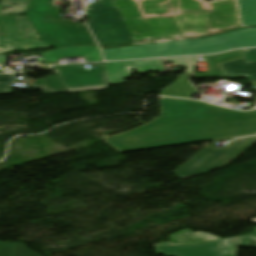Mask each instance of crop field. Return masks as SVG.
I'll return each mask as SVG.
<instances>
[{"label":"crop field","instance_id":"crop-field-17","mask_svg":"<svg viewBox=\"0 0 256 256\" xmlns=\"http://www.w3.org/2000/svg\"><path fill=\"white\" fill-rule=\"evenodd\" d=\"M197 58L198 57L169 58V59H165V63L173 62L176 65L187 67V70L185 72V73H187V72H191L192 71Z\"/></svg>","mask_w":256,"mask_h":256},{"label":"crop field","instance_id":"crop-field-4","mask_svg":"<svg viewBox=\"0 0 256 256\" xmlns=\"http://www.w3.org/2000/svg\"><path fill=\"white\" fill-rule=\"evenodd\" d=\"M30 0H0V47L2 53L12 50H31L40 48H50L49 45L35 39L25 37L37 38L31 24L27 17L14 16L9 14H21L24 13ZM6 4H19L22 6H10ZM5 7H15L14 9H7ZM1 8L6 10H1ZM20 29L21 33H19ZM27 29L29 36H27L25 30ZM17 34H22L18 36ZM2 37H4L8 51H6ZM8 37H10L14 49H12ZM15 39H17L21 49H19Z\"/></svg>","mask_w":256,"mask_h":256},{"label":"crop field","instance_id":"crop-field-13","mask_svg":"<svg viewBox=\"0 0 256 256\" xmlns=\"http://www.w3.org/2000/svg\"><path fill=\"white\" fill-rule=\"evenodd\" d=\"M221 66L227 78L247 77L250 82H256V62L247 63L244 58Z\"/></svg>","mask_w":256,"mask_h":256},{"label":"crop field","instance_id":"crop-field-20","mask_svg":"<svg viewBox=\"0 0 256 256\" xmlns=\"http://www.w3.org/2000/svg\"><path fill=\"white\" fill-rule=\"evenodd\" d=\"M16 244L0 242V256H12Z\"/></svg>","mask_w":256,"mask_h":256},{"label":"crop field","instance_id":"crop-field-14","mask_svg":"<svg viewBox=\"0 0 256 256\" xmlns=\"http://www.w3.org/2000/svg\"><path fill=\"white\" fill-rule=\"evenodd\" d=\"M190 73L179 75L178 79L170 86L161 91V95L173 97L190 98L194 93H199L189 82L188 76Z\"/></svg>","mask_w":256,"mask_h":256},{"label":"crop field","instance_id":"crop-field-25","mask_svg":"<svg viewBox=\"0 0 256 256\" xmlns=\"http://www.w3.org/2000/svg\"><path fill=\"white\" fill-rule=\"evenodd\" d=\"M192 77L199 78V75H192Z\"/></svg>","mask_w":256,"mask_h":256},{"label":"crop field","instance_id":"crop-field-16","mask_svg":"<svg viewBox=\"0 0 256 256\" xmlns=\"http://www.w3.org/2000/svg\"><path fill=\"white\" fill-rule=\"evenodd\" d=\"M34 89H41L45 95L67 92L58 75H49L41 81V84L32 85Z\"/></svg>","mask_w":256,"mask_h":256},{"label":"crop field","instance_id":"crop-field-6","mask_svg":"<svg viewBox=\"0 0 256 256\" xmlns=\"http://www.w3.org/2000/svg\"><path fill=\"white\" fill-rule=\"evenodd\" d=\"M256 142V137L236 140L228 149L205 147L195 157L177 169L180 178H188L221 168Z\"/></svg>","mask_w":256,"mask_h":256},{"label":"crop field","instance_id":"crop-field-10","mask_svg":"<svg viewBox=\"0 0 256 256\" xmlns=\"http://www.w3.org/2000/svg\"><path fill=\"white\" fill-rule=\"evenodd\" d=\"M85 56L88 62L102 61L97 47L76 46L63 49H55L43 54L42 62H54L60 57Z\"/></svg>","mask_w":256,"mask_h":256},{"label":"crop field","instance_id":"crop-field-3","mask_svg":"<svg viewBox=\"0 0 256 256\" xmlns=\"http://www.w3.org/2000/svg\"><path fill=\"white\" fill-rule=\"evenodd\" d=\"M51 2L31 0L25 12L40 40L54 48L95 45L84 23L68 24L66 19L60 20V9L51 5Z\"/></svg>","mask_w":256,"mask_h":256},{"label":"crop field","instance_id":"crop-field-2","mask_svg":"<svg viewBox=\"0 0 256 256\" xmlns=\"http://www.w3.org/2000/svg\"><path fill=\"white\" fill-rule=\"evenodd\" d=\"M256 46V27L241 28L196 40L102 50L105 60L209 54L238 47Z\"/></svg>","mask_w":256,"mask_h":256},{"label":"crop field","instance_id":"crop-field-9","mask_svg":"<svg viewBox=\"0 0 256 256\" xmlns=\"http://www.w3.org/2000/svg\"><path fill=\"white\" fill-rule=\"evenodd\" d=\"M114 63L118 76H107L110 84L124 82L125 78H128L130 75H132V69H136V71L141 74H144L147 71L165 70L161 59Z\"/></svg>","mask_w":256,"mask_h":256},{"label":"crop field","instance_id":"crop-field-23","mask_svg":"<svg viewBox=\"0 0 256 256\" xmlns=\"http://www.w3.org/2000/svg\"><path fill=\"white\" fill-rule=\"evenodd\" d=\"M136 45L134 43L132 44H128V45H118V46H101L102 49H106V48H115V47H124V46H133Z\"/></svg>","mask_w":256,"mask_h":256},{"label":"crop field","instance_id":"crop-field-8","mask_svg":"<svg viewBox=\"0 0 256 256\" xmlns=\"http://www.w3.org/2000/svg\"><path fill=\"white\" fill-rule=\"evenodd\" d=\"M95 69L84 70L81 65L53 66L50 71L58 73L68 92L102 89L109 87L105 69L101 63Z\"/></svg>","mask_w":256,"mask_h":256},{"label":"crop field","instance_id":"crop-field-19","mask_svg":"<svg viewBox=\"0 0 256 256\" xmlns=\"http://www.w3.org/2000/svg\"><path fill=\"white\" fill-rule=\"evenodd\" d=\"M13 256H41L32 250L26 248V245L17 244Z\"/></svg>","mask_w":256,"mask_h":256},{"label":"crop field","instance_id":"crop-field-7","mask_svg":"<svg viewBox=\"0 0 256 256\" xmlns=\"http://www.w3.org/2000/svg\"><path fill=\"white\" fill-rule=\"evenodd\" d=\"M242 239L244 241H241ZM231 240L233 241L231 242ZM252 240H255L256 248V233L207 242L200 245L155 248L158 255L164 254L165 256H235L237 251L236 245L250 246ZM230 242L231 244H229ZM218 249H221V251H218Z\"/></svg>","mask_w":256,"mask_h":256},{"label":"crop field","instance_id":"crop-field-21","mask_svg":"<svg viewBox=\"0 0 256 256\" xmlns=\"http://www.w3.org/2000/svg\"><path fill=\"white\" fill-rule=\"evenodd\" d=\"M248 62L256 61V49L243 50Z\"/></svg>","mask_w":256,"mask_h":256},{"label":"crop field","instance_id":"crop-field-12","mask_svg":"<svg viewBox=\"0 0 256 256\" xmlns=\"http://www.w3.org/2000/svg\"><path fill=\"white\" fill-rule=\"evenodd\" d=\"M203 57L207 62V64L209 65L211 72L201 74L200 78H221L226 76L220 64L237 60L240 58H244L245 56L242 50H237V51L226 52L224 54L213 55V56H203Z\"/></svg>","mask_w":256,"mask_h":256},{"label":"crop field","instance_id":"crop-field-5","mask_svg":"<svg viewBox=\"0 0 256 256\" xmlns=\"http://www.w3.org/2000/svg\"><path fill=\"white\" fill-rule=\"evenodd\" d=\"M87 23L98 44H127L133 41L111 0L86 4Z\"/></svg>","mask_w":256,"mask_h":256},{"label":"crop field","instance_id":"crop-field-18","mask_svg":"<svg viewBox=\"0 0 256 256\" xmlns=\"http://www.w3.org/2000/svg\"><path fill=\"white\" fill-rule=\"evenodd\" d=\"M16 75H0V95L10 94L13 87L11 83L15 80Z\"/></svg>","mask_w":256,"mask_h":256},{"label":"crop field","instance_id":"crop-field-26","mask_svg":"<svg viewBox=\"0 0 256 256\" xmlns=\"http://www.w3.org/2000/svg\"><path fill=\"white\" fill-rule=\"evenodd\" d=\"M253 231H254V232H256V227H255V228H253Z\"/></svg>","mask_w":256,"mask_h":256},{"label":"crop field","instance_id":"crop-field-11","mask_svg":"<svg viewBox=\"0 0 256 256\" xmlns=\"http://www.w3.org/2000/svg\"><path fill=\"white\" fill-rule=\"evenodd\" d=\"M218 239L219 237L214 235L206 234L204 232L193 233L186 229L172 234L169 237V242L154 244V246L190 245Z\"/></svg>","mask_w":256,"mask_h":256},{"label":"crop field","instance_id":"crop-field-15","mask_svg":"<svg viewBox=\"0 0 256 256\" xmlns=\"http://www.w3.org/2000/svg\"><path fill=\"white\" fill-rule=\"evenodd\" d=\"M243 26H256V0H239Z\"/></svg>","mask_w":256,"mask_h":256},{"label":"crop field","instance_id":"crop-field-1","mask_svg":"<svg viewBox=\"0 0 256 256\" xmlns=\"http://www.w3.org/2000/svg\"><path fill=\"white\" fill-rule=\"evenodd\" d=\"M159 118L102 138L120 153L256 134V110L241 112L204 102L160 97Z\"/></svg>","mask_w":256,"mask_h":256},{"label":"crop field","instance_id":"crop-field-22","mask_svg":"<svg viewBox=\"0 0 256 256\" xmlns=\"http://www.w3.org/2000/svg\"><path fill=\"white\" fill-rule=\"evenodd\" d=\"M107 75H117L113 62L104 63Z\"/></svg>","mask_w":256,"mask_h":256},{"label":"crop field","instance_id":"crop-field-24","mask_svg":"<svg viewBox=\"0 0 256 256\" xmlns=\"http://www.w3.org/2000/svg\"><path fill=\"white\" fill-rule=\"evenodd\" d=\"M6 56L0 55V64H3Z\"/></svg>","mask_w":256,"mask_h":256},{"label":"crop field","instance_id":"crop-field-27","mask_svg":"<svg viewBox=\"0 0 256 256\" xmlns=\"http://www.w3.org/2000/svg\"><path fill=\"white\" fill-rule=\"evenodd\" d=\"M254 86H256V83H253Z\"/></svg>","mask_w":256,"mask_h":256}]
</instances>
